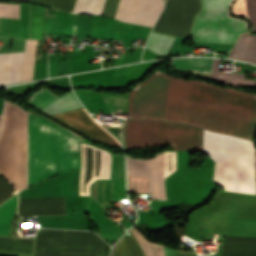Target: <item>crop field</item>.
Listing matches in <instances>:
<instances>
[{"label":"crop field","mask_w":256,"mask_h":256,"mask_svg":"<svg viewBox=\"0 0 256 256\" xmlns=\"http://www.w3.org/2000/svg\"><path fill=\"white\" fill-rule=\"evenodd\" d=\"M170 77L156 71L129 95L130 118L163 120ZM224 87L171 78L164 120L216 131ZM256 130V95L225 90L218 132L245 138Z\"/></svg>","instance_id":"crop-field-1"},{"label":"crop field","mask_w":256,"mask_h":256,"mask_svg":"<svg viewBox=\"0 0 256 256\" xmlns=\"http://www.w3.org/2000/svg\"><path fill=\"white\" fill-rule=\"evenodd\" d=\"M80 137L27 112V187L62 172L58 158L79 155ZM0 173L26 188V112L6 103L0 133Z\"/></svg>","instance_id":"crop-field-2"},{"label":"crop field","mask_w":256,"mask_h":256,"mask_svg":"<svg viewBox=\"0 0 256 256\" xmlns=\"http://www.w3.org/2000/svg\"><path fill=\"white\" fill-rule=\"evenodd\" d=\"M125 148L172 144L173 150H202L200 128L182 124L129 119L124 126ZM203 151L214 161V182L224 190L255 194L256 149L245 139L203 132Z\"/></svg>","instance_id":"crop-field-3"},{"label":"crop field","mask_w":256,"mask_h":256,"mask_svg":"<svg viewBox=\"0 0 256 256\" xmlns=\"http://www.w3.org/2000/svg\"><path fill=\"white\" fill-rule=\"evenodd\" d=\"M231 1L201 0L203 9L192 28L194 42L234 43L241 32L247 31L245 21L229 18Z\"/></svg>","instance_id":"crop-field-4"},{"label":"crop field","mask_w":256,"mask_h":256,"mask_svg":"<svg viewBox=\"0 0 256 256\" xmlns=\"http://www.w3.org/2000/svg\"><path fill=\"white\" fill-rule=\"evenodd\" d=\"M105 0H77L73 13L100 15ZM162 0H120L115 19L144 26H153Z\"/></svg>","instance_id":"crop-field-5"},{"label":"crop field","mask_w":256,"mask_h":256,"mask_svg":"<svg viewBox=\"0 0 256 256\" xmlns=\"http://www.w3.org/2000/svg\"><path fill=\"white\" fill-rule=\"evenodd\" d=\"M52 117L91 137L120 146L118 141L95 122L84 108L52 115Z\"/></svg>","instance_id":"crop-field-6"},{"label":"crop field","mask_w":256,"mask_h":256,"mask_svg":"<svg viewBox=\"0 0 256 256\" xmlns=\"http://www.w3.org/2000/svg\"><path fill=\"white\" fill-rule=\"evenodd\" d=\"M23 52L11 53L9 84L20 82ZM10 53L0 54V85L8 84Z\"/></svg>","instance_id":"crop-field-7"},{"label":"crop field","mask_w":256,"mask_h":256,"mask_svg":"<svg viewBox=\"0 0 256 256\" xmlns=\"http://www.w3.org/2000/svg\"><path fill=\"white\" fill-rule=\"evenodd\" d=\"M228 58L240 59L256 64V35H240Z\"/></svg>","instance_id":"crop-field-8"},{"label":"crop field","mask_w":256,"mask_h":256,"mask_svg":"<svg viewBox=\"0 0 256 256\" xmlns=\"http://www.w3.org/2000/svg\"><path fill=\"white\" fill-rule=\"evenodd\" d=\"M81 107L82 105L75 98V96L69 93L48 104L40 111H43L48 115H51Z\"/></svg>","instance_id":"crop-field-9"},{"label":"crop field","mask_w":256,"mask_h":256,"mask_svg":"<svg viewBox=\"0 0 256 256\" xmlns=\"http://www.w3.org/2000/svg\"><path fill=\"white\" fill-rule=\"evenodd\" d=\"M220 60L214 59L211 76L213 80L238 86H254L256 81L243 80V75L218 72Z\"/></svg>","instance_id":"crop-field-10"},{"label":"crop field","mask_w":256,"mask_h":256,"mask_svg":"<svg viewBox=\"0 0 256 256\" xmlns=\"http://www.w3.org/2000/svg\"><path fill=\"white\" fill-rule=\"evenodd\" d=\"M16 210V194L0 205V235L8 236L10 223Z\"/></svg>","instance_id":"crop-field-11"},{"label":"crop field","mask_w":256,"mask_h":256,"mask_svg":"<svg viewBox=\"0 0 256 256\" xmlns=\"http://www.w3.org/2000/svg\"><path fill=\"white\" fill-rule=\"evenodd\" d=\"M111 256H144L140 247L138 246L132 235L120 239L114 249Z\"/></svg>","instance_id":"crop-field-12"},{"label":"crop field","mask_w":256,"mask_h":256,"mask_svg":"<svg viewBox=\"0 0 256 256\" xmlns=\"http://www.w3.org/2000/svg\"><path fill=\"white\" fill-rule=\"evenodd\" d=\"M213 59H180L174 60L172 66L179 70L210 73Z\"/></svg>","instance_id":"crop-field-13"},{"label":"crop field","mask_w":256,"mask_h":256,"mask_svg":"<svg viewBox=\"0 0 256 256\" xmlns=\"http://www.w3.org/2000/svg\"><path fill=\"white\" fill-rule=\"evenodd\" d=\"M36 40H26L21 82L32 80Z\"/></svg>","instance_id":"crop-field-14"},{"label":"crop field","mask_w":256,"mask_h":256,"mask_svg":"<svg viewBox=\"0 0 256 256\" xmlns=\"http://www.w3.org/2000/svg\"><path fill=\"white\" fill-rule=\"evenodd\" d=\"M174 38L151 32L146 48L160 54L166 55Z\"/></svg>","instance_id":"crop-field-15"},{"label":"crop field","mask_w":256,"mask_h":256,"mask_svg":"<svg viewBox=\"0 0 256 256\" xmlns=\"http://www.w3.org/2000/svg\"><path fill=\"white\" fill-rule=\"evenodd\" d=\"M233 13L247 16L256 29V0H237L233 5Z\"/></svg>","instance_id":"crop-field-16"},{"label":"crop field","mask_w":256,"mask_h":256,"mask_svg":"<svg viewBox=\"0 0 256 256\" xmlns=\"http://www.w3.org/2000/svg\"><path fill=\"white\" fill-rule=\"evenodd\" d=\"M130 232L140 244L145 256H165L162 245L147 242L143 236L134 229Z\"/></svg>","instance_id":"crop-field-17"},{"label":"crop field","mask_w":256,"mask_h":256,"mask_svg":"<svg viewBox=\"0 0 256 256\" xmlns=\"http://www.w3.org/2000/svg\"><path fill=\"white\" fill-rule=\"evenodd\" d=\"M51 92V91H50ZM47 89H41L38 92L34 93L27 104L40 109L55 98L52 93H50Z\"/></svg>","instance_id":"crop-field-18"},{"label":"crop field","mask_w":256,"mask_h":256,"mask_svg":"<svg viewBox=\"0 0 256 256\" xmlns=\"http://www.w3.org/2000/svg\"><path fill=\"white\" fill-rule=\"evenodd\" d=\"M72 13L76 0H31Z\"/></svg>","instance_id":"crop-field-19"},{"label":"crop field","mask_w":256,"mask_h":256,"mask_svg":"<svg viewBox=\"0 0 256 256\" xmlns=\"http://www.w3.org/2000/svg\"><path fill=\"white\" fill-rule=\"evenodd\" d=\"M130 192L147 193L148 178L129 177Z\"/></svg>","instance_id":"crop-field-20"},{"label":"crop field","mask_w":256,"mask_h":256,"mask_svg":"<svg viewBox=\"0 0 256 256\" xmlns=\"http://www.w3.org/2000/svg\"><path fill=\"white\" fill-rule=\"evenodd\" d=\"M0 17L19 18V4L0 3Z\"/></svg>","instance_id":"crop-field-21"},{"label":"crop field","mask_w":256,"mask_h":256,"mask_svg":"<svg viewBox=\"0 0 256 256\" xmlns=\"http://www.w3.org/2000/svg\"><path fill=\"white\" fill-rule=\"evenodd\" d=\"M16 193L15 189L0 176V203Z\"/></svg>","instance_id":"crop-field-22"},{"label":"crop field","mask_w":256,"mask_h":256,"mask_svg":"<svg viewBox=\"0 0 256 256\" xmlns=\"http://www.w3.org/2000/svg\"><path fill=\"white\" fill-rule=\"evenodd\" d=\"M79 158H80V156L63 158V159H59V160L61 162L63 170L65 171V170L79 167Z\"/></svg>","instance_id":"crop-field-23"},{"label":"crop field","mask_w":256,"mask_h":256,"mask_svg":"<svg viewBox=\"0 0 256 256\" xmlns=\"http://www.w3.org/2000/svg\"><path fill=\"white\" fill-rule=\"evenodd\" d=\"M0 117H1V115H0Z\"/></svg>","instance_id":"crop-field-24"}]
</instances>
